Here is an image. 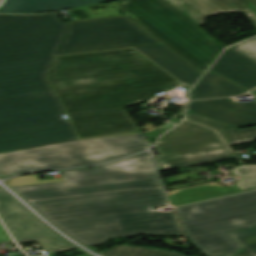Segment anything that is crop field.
I'll use <instances>...</instances> for the list:
<instances>
[{"instance_id": "crop-field-26", "label": "crop field", "mask_w": 256, "mask_h": 256, "mask_svg": "<svg viewBox=\"0 0 256 256\" xmlns=\"http://www.w3.org/2000/svg\"><path fill=\"white\" fill-rule=\"evenodd\" d=\"M0 190H3V189L0 188Z\"/></svg>"}, {"instance_id": "crop-field-14", "label": "crop field", "mask_w": 256, "mask_h": 256, "mask_svg": "<svg viewBox=\"0 0 256 256\" xmlns=\"http://www.w3.org/2000/svg\"><path fill=\"white\" fill-rule=\"evenodd\" d=\"M110 0H7L0 13H38L59 11Z\"/></svg>"}, {"instance_id": "crop-field-24", "label": "crop field", "mask_w": 256, "mask_h": 256, "mask_svg": "<svg viewBox=\"0 0 256 256\" xmlns=\"http://www.w3.org/2000/svg\"><path fill=\"white\" fill-rule=\"evenodd\" d=\"M7 240H10V238L7 235V233L4 230V228L2 227V225L0 224V242L1 241H7Z\"/></svg>"}, {"instance_id": "crop-field-10", "label": "crop field", "mask_w": 256, "mask_h": 256, "mask_svg": "<svg viewBox=\"0 0 256 256\" xmlns=\"http://www.w3.org/2000/svg\"><path fill=\"white\" fill-rule=\"evenodd\" d=\"M198 25L211 15L245 12L256 27V0H164Z\"/></svg>"}, {"instance_id": "crop-field-19", "label": "crop field", "mask_w": 256, "mask_h": 256, "mask_svg": "<svg viewBox=\"0 0 256 256\" xmlns=\"http://www.w3.org/2000/svg\"><path fill=\"white\" fill-rule=\"evenodd\" d=\"M229 234L245 247L236 256L256 255V227L230 232Z\"/></svg>"}, {"instance_id": "crop-field-18", "label": "crop field", "mask_w": 256, "mask_h": 256, "mask_svg": "<svg viewBox=\"0 0 256 256\" xmlns=\"http://www.w3.org/2000/svg\"><path fill=\"white\" fill-rule=\"evenodd\" d=\"M102 256H185L172 251L119 245L103 251Z\"/></svg>"}, {"instance_id": "crop-field-23", "label": "crop field", "mask_w": 256, "mask_h": 256, "mask_svg": "<svg viewBox=\"0 0 256 256\" xmlns=\"http://www.w3.org/2000/svg\"><path fill=\"white\" fill-rule=\"evenodd\" d=\"M173 125L167 123L166 125H164L161 128H158L152 132L146 133V135L150 138V139H155L158 135H160L161 133L165 132L166 130L172 128Z\"/></svg>"}, {"instance_id": "crop-field-22", "label": "crop field", "mask_w": 256, "mask_h": 256, "mask_svg": "<svg viewBox=\"0 0 256 256\" xmlns=\"http://www.w3.org/2000/svg\"><path fill=\"white\" fill-rule=\"evenodd\" d=\"M233 48L256 60V37L236 46H233Z\"/></svg>"}, {"instance_id": "crop-field-2", "label": "crop field", "mask_w": 256, "mask_h": 256, "mask_svg": "<svg viewBox=\"0 0 256 256\" xmlns=\"http://www.w3.org/2000/svg\"><path fill=\"white\" fill-rule=\"evenodd\" d=\"M67 30L57 14L0 15V153L77 138L46 79Z\"/></svg>"}, {"instance_id": "crop-field-27", "label": "crop field", "mask_w": 256, "mask_h": 256, "mask_svg": "<svg viewBox=\"0 0 256 256\" xmlns=\"http://www.w3.org/2000/svg\"><path fill=\"white\" fill-rule=\"evenodd\" d=\"M0 2H1V0H0Z\"/></svg>"}, {"instance_id": "crop-field-20", "label": "crop field", "mask_w": 256, "mask_h": 256, "mask_svg": "<svg viewBox=\"0 0 256 256\" xmlns=\"http://www.w3.org/2000/svg\"><path fill=\"white\" fill-rule=\"evenodd\" d=\"M233 172L242 177L236 185L244 191L256 189V165L239 166Z\"/></svg>"}, {"instance_id": "crop-field-1", "label": "crop field", "mask_w": 256, "mask_h": 256, "mask_svg": "<svg viewBox=\"0 0 256 256\" xmlns=\"http://www.w3.org/2000/svg\"><path fill=\"white\" fill-rule=\"evenodd\" d=\"M149 156L64 170V182L10 188L84 246L141 233L181 235L173 213L148 209L168 204Z\"/></svg>"}, {"instance_id": "crop-field-13", "label": "crop field", "mask_w": 256, "mask_h": 256, "mask_svg": "<svg viewBox=\"0 0 256 256\" xmlns=\"http://www.w3.org/2000/svg\"><path fill=\"white\" fill-rule=\"evenodd\" d=\"M136 49L185 84L193 85L202 74L163 44Z\"/></svg>"}, {"instance_id": "crop-field-17", "label": "crop field", "mask_w": 256, "mask_h": 256, "mask_svg": "<svg viewBox=\"0 0 256 256\" xmlns=\"http://www.w3.org/2000/svg\"><path fill=\"white\" fill-rule=\"evenodd\" d=\"M241 193L235 186L224 187L222 185L211 184L202 187L187 189L170 193L169 198L173 206H180L206 199Z\"/></svg>"}, {"instance_id": "crop-field-4", "label": "crop field", "mask_w": 256, "mask_h": 256, "mask_svg": "<svg viewBox=\"0 0 256 256\" xmlns=\"http://www.w3.org/2000/svg\"><path fill=\"white\" fill-rule=\"evenodd\" d=\"M184 233L207 256H234L244 247L227 232L256 226V191L175 209Z\"/></svg>"}, {"instance_id": "crop-field-12", "label": "crop field", "mask_w": 256, "mask_h": 256, "mask_svg": "<svg viewBox=\"0 0 256 256\" xmlns=\"http://www.w3.org/2000/svg\"><path fill=\"white\" fill-rule=\"evenodd\" d=\"M210 71L247 90L256 86V61L231 47L221 55Z\"/></svg>"}, {"instance_id": "crop-field-9", "label": "crop field", "mask_w": 256, "mask_h": 256, "mask_svg": "<svg viewBox=\"0 0 256 256\" xmlns=\"http://www.w3.org/2000/svg\"><path fill=\"white\" fill-rule=\"evenodd\" d=\"M0 217L17 242L36 240L50 253L75 248L4 191H0Z\"/></svg>"}, {"instance_id": "crop-field-7", "label": "crop field", "mask_w": 256, "mask_h": 256, "mask_svg": "<svg viewBox=\"0 0 256 256\" xmlns=\"http://www.w3.org/2000/svg\"><path fill=\"white\" fill-rule=\"evenodd\" d=\"M154 148L161 155L154 158L159 171L235 158L215 131L185 121L163 135Z\"/></svg>"}, {"instance_id": "crop-field-15", "label": "crop field", "mask_w": 256, "mask_h": 256, "mask_svg": "<svg viewBox=\"0 0 256 256\" xmlns=\"http://www.w3.org/2000/svg\"><path fill=\"white\" fill-rule=\"evenodd\" d=\"M246 92L221 77L207 72L191 92L190 99L233 96Z\"/></svg>"}, {"instance_id": "crop-field-8", "label": "crop field", "mask_w": 256, "mask_h": 256, "mask_svg": "<svg viewBox=\"0 0 256 256\" xmlns=\"http://www.w3.org/2000/svg\"><path fill=\"white\" fill-rule=\"evenodd\" d=\"M124 16L69 22L57 55L159 44Z\"/></svg>"}, {"instance_id": "crop-field-25", "label": "crop field", "mask_w": 256, "mask_h": 256, "mask_svg": "<svg viewBox=\"0 0 256 256\" xmlns=\"http://www.w3.org/2000/svg\"><path fill=\"white\" fill-rule=\"evenodd\" d=\"M251 93L256 97V89L251 91Z\"/></svg>"}, {"instance_id": "crop-field-11", "label": "crop field", "mask_w": 256, "mask_h": 256, "mask_svg": "<svg viewBox=\"0 0 256 256\" xmlns=\"http://www.w3.org/2000/svg\"><path fill=\"white\" fill-rule=\"evenodd\" d=\"M188 110L236 127L256 124V102L234 104L230 98L193 101Z\"/></svg>"}, {"instance_id": "crop-field-3", "label": "crop field", "mask_w": 256, "mask_h": 256, "mask_svg": "<svg viewBox=\"0 0 256 256\" xmlns=\"http://www.w3.org/2000/svg\"><path fill=\"white\" fill-rule=\"evenodd\" d=\"M49 79L80 138L140 132L124 107L179 83L134 49L55 57Z\"/></svg>"}, {"instance_id": "crop-field-6", "label": "crop field", "mask_w": 256, "mask_h": 256, "mask_svg": "<svg viewBox=\"0 0 256 256\" xmlns=\"http://www.w3.org/2000/svg\"><path fill=\"white\" fill-rule=\"evenodd\" d=\"M120 4L124 14L201 71L226 47L162 0H121Z\"/></svg>"}, {"instance_id": "crop-field-5", "label": "crop field", "mask_w": 256, "mask_h": 256, "mask_svg": "<svg viewBox=\"0 0 256 256\" xmlns=\"http://www.w3.org/2000/svg\"><path fill=\"white\" fill-rule=\"evenodd\" d=\"M150 146L147 138L139 134L76 140L2 153L0 176L90 165L142 151Z\"/></svg>"}, {"instance_id": "crop-field-16", "label": "crop field", "mask_w": 256, "mask_h": 256, "mask_svg": "<svg viewBox=\"0 0 256 256\" xmlns=\"http://www.w3.org/2000/svg\"><path fill=\"white\" fill-rule=\"evenodd\" d=\"M185 119L218 130L229 145L244 143L256 139V126L237 129L234 126L189 111L187 112Z\"/></svg>"}, {"instance_id": "crop-field-21", "label": "crop field", "mask_w": 256, "mask_h": 256, "mask_svg": "<svg viewBox=\"0 0 256 256\" xmlns=\"http://www.w3.org/2000/svg\"><path fill=\"white\" fill-rule=\"evenodd\" d=\"M57 181H62V178L39 181L37 176L28 175V176H22L18 178H12L4 183L9 186H15V185L41 184V183H49V182H57Z\"/></svg>"}]
</instances>
